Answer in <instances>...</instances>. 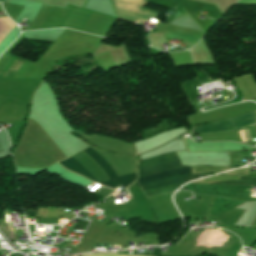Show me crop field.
<instances>
[{
    "mask_svg": "<svg viewBox=\"0 0 256 256\" xmlns=\"http://www.w3.org/2000/svg\"><path fill=\"white\" fill-rule=\"evenodd\" d=\"M83 154L101 170V172L106 176L108 180L118 177L110 164L91 147L83 151ZM59 163L66 169L95 181L73 157ZM135 179L136 173L115 178L101 185L117 190L122 186L126 187L130 185L133 181H135Z\"/></svg>",
    "mask_w": 256,
    "mask_h": 256,
    "instance_id": "8a807250",
    "label": "crop field"
},
{
    "mask_svg": "<svg viewBox=\"0 0 256 256\" xmlns=\"http://www.w3.org/2000/svg\"><path fill=\"white\" fill-rule=\"evenodd\" d=\"M256 123V111L249 112L240 116L232 117L225 120L216 121L210 124L195 126L191 133L206 134L215 132L230 131Z\"/></svg>",
    "mask_w": 256,
    "mask_h": 256,
    "instance_id": "ac0d7876",
    "label": "crop field"
},
{
    "mask_svg": "<svg viewBox=\"0 0 256 256\" xmlns=\"http://www.w3.org/2000/svg\"><path fill=\"white\" fill-rule=\"evenodd\" d=\"M118 18L129 22L143 20L146 17L156 18L157 13L142 8L148 2L144 0H111Z\"/></svg>",
    "mask_w": 256,
    "mask_h": 256,
    "instance_id": "34b2d1b8",
    "label": "crop field"
},
{
    "mask_svg": "<svg viewBox=\"0 0 256 256\" xmlns=\"http://www.w3.org/2000/svg\"><path fill=\"white\" fill-rule=\"evenodd\" d=\"M177 158H179L177 152L160 155V156L142 161L141 165H140V168L145 167V166H149V165H153V164H157V163H161V162H165V161H169V160H173V159H177ZM181 165L182 164H181L180 160L177 159V160H173V161H169V162H165V163H161V164L141 168L140 169V175L148 174V173H151V172H155V171H159V170H163V169H167V168H171V167H177V166H181Z\"/></svg>",
    "mask_w": 256,
    "mask_h": 256,
    "instance_id": "412701ff",
    "label": "crop field"
},
{
    "mask_svg": "<svg viewBox=\"0 0 256 256\" xmlns=\"http://www.w3.org/2000/svg\"><path fill=\"white\" fill-rule=\"evenodd\" d=\"M23 63L24 60L9 55L0 68V78H13Z\"/></svg>",
    "mask_w": 256,
    "mask_h": 256,
    "instance_id": "f4fd0767",
    "label": "crop field"
},
{
    "mask_svg": "<svg viewBox=\"0 0 256 256\" xmlns=\"http://www.w3.org/2000/svg\"><path fill=\"white\" fill-rule=\"evenodd\" d=\"M177 174H191V167H179V168H175V169L162 171V172H159L156 174L140 177V178H138V183L141 184V183H145V182H148L151 180L164 178V177H168V176H173V175H177Z\"/></svg>",
    "mask_w": 256,
    "mask_h": 256,
    "instance_id": "dd49c442",
    "label": "crop field"
},
{
    "mask_svg": "<svg viewBox=\"0 0 256 256\" xmlns=\"http://www.w3.org/2000/svg\"><path fill=\"white\" fill-rule=\"evenodd\" d=\"M186 176L187 175H182V176H177V177H173V178L155 180V181L149 182L147 184L141 185V187L143 188V190L157 188V187H161V186H164V185H167V184L180 182Z\"/></svg>",
    "mask_w": 256,
    "mask_h": 256,
    "instance_id": "e52e79f7",
    "label": "crop field"
},
{
    "mask_svg": "<svg viewBox=\"0 0 256 256\" xmlns=\"http://www.w3.org/2000/svg\"><path fill=\"white\" fill-rule=\"evenodd\" d=\"M243 130H244L246 142H247V143L251 142V141H250L251 137H250V133H249L248 127L245 128V129H243ZM243 130H242V129H239L238 132H239V135H240V138L242 139V141L245 142Z\"/></svg>",
    "mask_w": 256,
    "mask_h": 256,
    "instance_id": "d8731c3e",
    "label": "crop field"
},
{
    "mask_svg": "<svg viewBox=\"0 0 256 256\" xmlns=\"http://www.w3.org/2000/svg\"><path fill=\"white\" fill-rule=\"evenodd\" d=\"M0 8H1V6H0Z\"/></svg>",
    "mask_w": 256,
    "mask_h": 256,
    "instance_id": "5a996713",
    "label": "crop field"
}]
</instances>
